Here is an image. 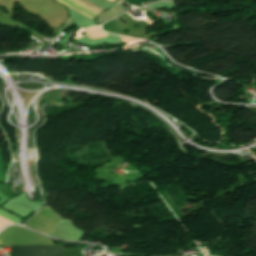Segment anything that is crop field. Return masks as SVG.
Wrapping results in <instances>:
<instances>
[{"instance_id": "obj_3", "label": "crop field", "mask_w": 256, "mask_h": 256, "mask_svg": "<svg viewBox=\"0 0 256 256\" xmlns=\"http://www.w3.org/2000/svg\"><path fill=\"white\" fill-rule=\"evenodd\" d=\"M85 30H86L87 34L89 35L90 39L104 37V34L99 29V27H92V28H88V29H85Z\"/></svg>"}, {"instance_id": "obj_2", "label": "crop field", "mask_w": 256, "mask_h": 256, "mask_svg": "<svg viewBox=\"0 0 256 256\" xmlns=\"http://www.w3.org/2000/svg\"><path fill=\"white\" fill-rule=\"evenodd\" d=\"M123 12V9L121 8L120 5L100 14L99 18H98V23H101L119 13Z\"/></svg>"}, {"instance_id": "obj_5", "label": "crop field", "mask_w": 256, "mask_h": 256, "mask_svg": "<svg viewBox=\"0 0 256 256\" xmlns=\"http://www.w3.org/2000/svg\"><path fill=\"white\" fill-rule=\"evenodd\" d=\"M121 2H123V1L121 0V1H119V2H117V3L119 4V3H121Z\"/></svg>"}, {"instance_id": "obj_4", "label": "crop field", "mask_w": 256, "mask_h": 256, "mask_svg": "<svg viewBox=\"0 0 256 256\" xmlns=\"http://www.w3.org/2000/svg\"><path fill=\"white\" fill-rule=\"evenodd\" d=\"M79 1H81V2H83V3H85V4H87L88 6L94 8V9L100 11V12L103 10V9H101V8H99V7H97V6L93 5V4H91L90 2H88V1H86V0H79ZM111 1H113V0H111Z\"/></svg>"}, {"instance_id": "obj_1", "label": "crop field", "mask_w": 256, "mask_h": 256, "mask_svg": "<svg viewBox=\"0 0 256 256\" xmlns=\"http://www.w3.org/2000/svg\"><path fill=\"white\" fill-rule=\"evenodd\" d=\"M11 256H62L60 246H10Z\"/></svg>"}]
</instances>
